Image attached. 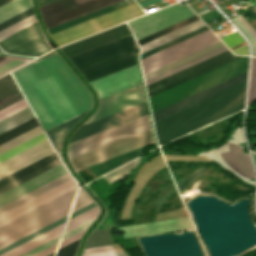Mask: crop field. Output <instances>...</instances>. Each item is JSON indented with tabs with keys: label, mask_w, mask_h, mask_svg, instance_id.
I'll return each instance as SVG.
<instances>
[{
	"label": "crop field",
	"mask_w": 256,
	"mask_h": 256,
	"mask_svg": "<svg viewBox=\"0 0 256 256\" xmlns=\"http://www.w3.org/2000/svg\"><path fill=\"white\" fill-rule=\"evenodd\" d=\"M77 189L0 226V249L67 216Z\"/></svg>",
	"instance_id": "f4fd0767"
},
{
	"label": "crop field",
	"mask_w": 256,
	"mask_h": 256,
	"mask_svg": "<svg viewBox=\"0 0 256 256\" xmlns=\"http://www.w3.org/2000/svg\"><path fill=\"white\" fill-rule=\"evenodd\" d=\"M238 57L240 56H234L230 53L229 50H227L221 54H218L212 58H209L203 62H200L183 71H180L174 75H171L165 79H162L156 83L147 86L146 89L148 97L150 98L158 93L170 89L178 84H181L189 79L201 75Z\"/></svg>",
	"instance_id": "3316defc"
},
{
	"label": "crop field",
	"mask_w": 256,
	"mask_h": 256,
	"mask_svg": "<svg viewBox=\"0 0 256 256\" xmlns=\"http://www.w3.org/2000/svg\"><path fill=\"white\" fill-rule=\"evenodd\" d=\"M140 83L136 65L90 82L99 99Z\"/></svg>",
	"instance_id": "cbeb9de0"
},
{
	"label": "crop field",
	"mask_w": 256,
	"mask_h": 256,
	"mask_svg": "<svg viewBox=\"0 0 256 256\" xmlns=\"http://www.w3.org/2000/svg\"><path fill=\"white\" fill-rule=\"evenodd\" d=\"M229 151L222 152L221 158L241 176L255 179L254 171L248 155H244L242 147L228 142Z\"/></svg>",
	"instance_id": "dafd665d"
},
{
	"label": "crop field",
	"mask_w": 256,
	"mask_h": 256,
	"mask_svg": "<svg viewBox=\"0 0 256 256\" xmlns=\"http://www.w3.org/2000/svg\"><path fill=\"white\" fill-rule=\"evenodd\" d=\"M247 71L152 113L154 121L246 80Z\"/></svg>",
	"instance_id": "5142ce71"
},
{
	"label": "crop field",
	"mask_w": 256,
	"mask_h": 256,
	"mask_svg": "<svg viewBox=\"0 0 256 256\" xmlns=\"http://www.w3.org/2000/svg\"><path fill=\"white\" fill-rule=\"evenodd\" d=\"M126 35H130V32L126 24H124L111 30L86 38L84 40L67 45L60 49L67 56V58H69L71 56L77 55L79 53L90 50L92 48H95L97 46L108 43Z\"/></svg>",
	"instance_id": "bc2a9ffb"
},
{
	"label": "crop field",
	"mask_w": 256,
	"mask_h": 256,
	"mask_svg": "<svg viewBox=\"0 0 256 256\" xmlns=\"http://www.w3.org/2000/svg\"><path fill=\"white\" fill-rule=\"evenodd\" d=\"M139 52L132 35L77 56L69 58L78 71L90 82L135 65L134 54Z\"/></svg>",
	"instance_id": "412701ff"
},
{
	"label": "crop field",
	"mask_w": 256,
	"mask_h": 256,
	"mask_svg": "<svg viewBox=\"0 0 256 256\" xmlns=\"http://www.w3.org/2000/svg\"><path fill=\"white\" fill-rule=\"evenodd\" d=\"M196 19H198V17L196 15H194V16L188 18V19H185V20H183L181 22H178V23H176V24H174L172 26H169V27H167V28H165L163 30H160V31H158V32H156L154 34H151V35H149L147 37H144V38L138 40V43H139V45H141V44H143V43H145L147 41H150V40H152V39H154V38H156L158 36H161V35H163V34H165L167 32H170V31H172V30H174V29H176L178 27H181V26H183V25H185L187 23H190V22H192V21H194Z\"/></svg>",
	"instance_id": "0bd39190"
},
{
	"label": "crop field",
	"mask_w": 256,
	"mask_h": 256,
	"mask_svg": "<svg viewBox=\"0 0 256 256\" xmlns=\"http://www.w3.org/2000/svg\"><path fill=\"white\" fill-rule=\"evenodd\" d=\"M60 164L55 152L0 180V193Z\"/></svg>",
	"instance_id": "733c2abd"
},
{
	"label": "crop field",
	"mask_w": 256,
	"mask_h": 256,
	"mask_svg": "<svg viewBox=\"0 0 256 256\" xmlns=\"http://www.w3.org/2000/svg\"><path fill=\"white\" fill-rule=\"evenodd\" d=\"M246 82L154 122L160 145L243 108Z\"/></svg>",
	"instance_id": "ac0d7876"
},
{
	"label": "crop field",
	"mask_w": 256,
	"mask_h": 256,
	"mask_svg": "<svg viewBox=\"0 0 256 256\" xmlns=\"http://www.w3.org/2000/svg\"><path fill=\"white\" fill-rule=\"evenodd\" d=\"M192 15H194V13L187 6L182 7L181 4L178 3L131 21L129 25L138 40Z\"/></svg>",
	"instance_id": "5a996713"
},
{
	"label": "crop field",
	"mask_w": 256,
	"mask_h": 256,
	"mask_svg": "<svg viewBox=\"0 0 256 256\" xmlns=\"http://www.w3.org/2000/svg\"><path fill=\"white\" fill-rule=\"evenodd\" d=\"M54 255V253L53 254H51V255H49V256H53Z\"/></svg>",
	"instance_id": "e1d0b9f6"
},
{
	"label": "crop field",
	"mask_w": 256,
	"mask_h": 256,
	"mask_svg": "<svg viewBox=\"0 0 256 256\" xmlns=\"http://www.w3.org/2000/svg\"><path fill=\"white\" fill-rule=\"evenodd\" d=\"M67 216H68V215H67ZM65 217H66V216H65ZM66 218H67V217H66ZM66 218H64V219H62V220H60V221H58V222H56V223H54V224H52V225H50V226H48V227H46V228H44V229H42V230H40V231H38V232H36V233H34V234L28 236V237H26V238H24V239H22V240H20V241H18V242H16V243H14V244L8 246V247H6V248L0 250V254H2V253H4V252L8 251L9 249H11V248H13V247H15V246H17V245H19V244H21V243H23V242L29 240V239H31V238H33V237L37 236V235H39V234H41V233H43V232H45V231H47V230H49V229H51V228H53V227H55V226H57V225L63 223V222H65Z\"/></svg>",
	"instance_id": "c21b1889"
},
{
	"label": "crop field",
	"mask_w": 256,
	"mask_h": 256,
	"mask_svg": "<svg viewBox=\"0 0 256 256\" xmlns=\"http://www.w3.org/2000/svg\"><path fill=\"white\" fill-rule=\"evenodd\" d=\"M143 147L135 149L128 153L122 154L120 156L114 157L107 161L101 162L94 166L88 167L87 169H89L93 174H95L97 177H99V176L105 174L106 172L124 164L125 162L141 155Z\"/></svg>",
	"instance_id": "a9b5d70f"
},
{
	"label": "crop field",
	"mask_w": 256,
	"mask_h": 256,
	"mask_svg": "<svg viewBox=\"0 0 256 256\" xmlns=\"http://www.w3.org/2000/svg\"><path fill=\"white\" fill-rule=\"evenodd\" d=\"M77 187L76 183L72 180L38 196L37 198L3 214L0 216V225L6 223L7 221Z\"/></svg>",
	"instance_id": "92a150f3"
},
{
	"label": "crop field",
	"mask_w": 256,
	"mask_h": 256,
	"mask_svg": "<svg viewBox=\"0 0 256 256\" xmlns=\"http://www.w3.org/2000/svg\"><path fill=\"white\" fill-rule=\"evenodd\" d=\"M31 14H33L32 7L23 11V12H21V13H19V14H17V15H15V16H13V17H11V18H9V19H7V20H5V21H3V22H1L0 23V30L10 26L11 24H13V23L31 15Z\"/></svg>",
	"instance_id": "03da06ac"
},
{
	"label": "crop field",
	"mask_w": 256,
	"mask_h": 256,
	"mask_svg": "<svg viewBox=\"0 0 256 256\" xmlns=\"http://www.w3.org/2000/svg\"><path fill=\"white\" fill-rule=\"evenodd\" d=\"M93 201L91 200V198L86 194V192L83 189H79L76 201L74 203L72 212L92 203ZM71 212V213H72Z\"/></svg>",
	"instance_id": "c035e120"
},
{
	"label": "crop field",
	"mask_w": 256,
	"mask_h": 256,
	"mask_svg": "<svg viewBox=\"0 0 256 256\" xmlns=\"http://www.w3.org/2000/svg\"><path fill=\"white\" fill-rule=\"evenodd\" d=\"M5 57H6V56H0V60L3 59V58H5Z\"/></svg>",
	"instance_id": "0f1d7ab4"
},
{
	"label": "crop field",
	"mask_w": 256,
	"mask_h": 256,
	"mask_svg": "<svg viewBox=\"0 0 256 256\" xmlns=\"http://www.w3.org/2000/svg\"><path fill=\"white\" fill-rule=\"evenodd\" d=\"M26 106H28V105H27V103H26V101L24 99V100L14 104V105H12V106H10V107L0 111V119H2L4 117H6V116L16 112V111H18V110H20V109H22V108H24Z\"/></svg>",
	"instance_id": "5d738f31"
},
{
	"label": "crop field",
	"mask_w": 256,
	"mask_h": 256,
	"mask_svg": "<svg viewBox=\"0 0 256 256\" xmlns=\"http://www.w3.org/2000/svg\"><path fill=\"white\" fill-rule=\"evenodd\" d=\"M217 41H219V39L208 30L153 56L150 55L151 57L144 60L141 59L143 72L145 74Z\"/></svg>",
	"instance_id": "d8731c3e"
},
{
	"label": "crop field",
	"mask_w": 256,
	"mask_h": 256,
	"mask_svg": "<svg viewBox=\"0 0 256 256\" xmlns=\"http://www.w3.org/2000/svg\"><path fill=\"white\" fill-rule=\"evenodd\" d=\"M117 252L114 245L84 250L83 256Z\"/></svg>",
	"instance_id": "b54c1fbb"
},
{
	"label": "crop field",
	"mask_w": 256,
	"mask_h": 256,
	"mask_svg": "<svg viewBox=\"0 0 256 256\" xmlns=\"http://www.w3.org/2000/svg\"><path fill=\"white\" fill-rule=\"evenodd\" d=\"M206 30H208V28L206 26H204V27H202L200 29H197V30H195L193 32H190V33H188L186 35H183V36H181L179 38H176V39H174L172 41H169V42H167V43H165V44H163V45H161V46H159L157 48H154V49H152V50L142 54L140 59H144V58H146V57H148L150 55H153V54H155V53H157L159 51H162V50H164V49H166L168 47H171V46H173V45H175V44H177L179 42H182V41H184V40H186L188 38H191V37H193V36H195V35H197L199 33L204 32Z\"/></svg>",
	"instance_id": "1d83c4d3"
},
{
	"label": "crop field",
	"mask_w": 256,
	"mask_h": 256,
	"mask_svg": "<svg viewBox=\"0 0 256 256\" xmlns=\"http://www.w3.org/2000/svg\"><path fill=\"white\" fill-rule=\"evenodd\" d=\"M109 244H112V242L110 240L108 230L103 229V230L94 231L89 236L85 248L109 245Z\"/></svg>",
	"instance_id": "120bbe31"
},
{
	"label": "crop field",
	"mask_w": 256,
	"mask_h": 256,
	"mask_svg": "<svg viewBox=\"0 0 256 256\" xmlns=\"http://www.w3.org/2000/svg\"><path fill=\"white\" fill-rule=\"evenodd\" d=\"M59 238H60V236L51 240V241H49V242H47V243H45V244H43V245H41V246H39V247H37V248H35V249H33V250H31V251H29V252H27V253H25V254H23V255H21V256H32V255L50 247V246L58 243Z\"/></svg>",
	"instance_id": "73cf0c24"
},
{
	"label": "crop field",
	"mask_w": 256,
	"mask_h": 256,
	"mask_svg": "<svg viewBox=\"0 0 256 256\" xmlns=\"http://www.w3.org/2000/svg\"><path fill=\"white\" fill-rule=\"evenodd\" d=\"M202 26H204V24L199 19V20L194 21V22H192L190 24H187V25H185V26H183L181 28H178V29H176V30H174V31H172L170 33H167V34H165V35H163V36H161V37H159L157 39H154V40H152L150 42H147V43L141 45L140 47L142 49V53H144V52H146V51H148V50H150V49H152L154 47H157V46H159V45H161V44H163V43H165V42H167L169 40H172V39H174L176 37H179V36H181L183 34H186V33L190 32V31H193V30H195L197 28H200Z\"/></svg>",
	"instance_id": "730fd06b"
},
{
	"label": "crop field",
	"mask_w": 256,
	"mask_h": 256,
	"mask_svg": "<svg viewBox=\"0 0 256 256\" xmlns=\"http://www.w3.org/2000/svg\"><path fill=\"white\" fill-rule=\"evenodd\" d=\"M8 1H10V0H0V5L6 3V2H8Z\"/></svg>",
	"instance_id": "7b73153f"
},
{
	"label": "crop field",
	"mask_w": 256,
	"mask_h": 256,
	"mask_svg": "<svg viewBox=\"0 0 256 256\" xmlns=\"http://www.w3.org/2000/svg\"><path fill=\"white\" fill-rule=\"evenodd\" d=\"M146 105L145 102L139 105L133 106L131 108L122 110L120 112L114 113L112 115L106 116L104 118L95 120L93 122L82 125L72 136L70 142L81 139L83 137L92 135L94 133L103 131L105 129L111 128L113 126L122 124L124 122L133 120L135 118L146 115ZM69 142V143H70Z\"/></svg>",
	"instance_id": "d1516ede"
},
{
	"label": "crop field",
	"mask_w": 256,
	"mask_h": 256,
	"mask_svg": "<svg viewBox=\"0 0 256 256\" xmlns=\"http://www.w3.org/2000/svg\"><path fill=\"white\" fill-rule=\"evenodd\" d=\"M111 11H114V8L112 6H109L107 8H104V9H101L99 11H96V12H93L91 14H88L86 16H83V17H80L78 19H75V20H72L70 22H67L65 24H62V25H59L57 27H54V28H51L48 31L49 34L51 33H54L56 31H59V30H62V29H65L67 27H70V26H73V25H76L78 23H81V22H84V21H87L89 19H92V18H95V17H98L100 15H103V14H106V13H109Z\"/></svg>",
	"instance_id": "bd1437ed"
},
{
	"label": "crop field",
	"mask_w": 256,
	"mask_h": 256,
	"mask_svg": "<svg viewBox=\"0 0 256 256\" xmlns=\"http://www.w3.org/2000/svg\"><path fill=\"white\" fill-rule=\"evenodd\" d=\"M221 43H222V42H221ZM222 45H223V46H221L220 42L215 43V44H213V45H211V46H209V47H207V48H204V49H202V50H200V51H198V52H196V53H193V54H191V55H189V56H187V57H185V58H183V59H180V60H178V61H176V62H174V63H172V64H169V65H167V66H165V67H162V68H160V69H157V70H155V71H153V72H150V73L146 74L145 77H146V79H147V78H149V77H151V76H153V75H156V74H158V73H160V72H162V71H165V70H167V69H169V68H172V67H174V66H176V65H178V64H181V63H183V62H185V61H187V60H190V59H192V58H194V57H196V56H199V55H201V54H203V53H206V52H208V51H210V50H212V49H215V48L221 46V47H219V48H217V49H215V50H212V51H210V52H208V53H206V54H203V55H201V56H199V57H196V58H194V59H192V60H190V61H187V62H185V63H183V64H181V65H178V66H176V67H174V68H172V69H169V70H167V71H165V72H162V73H160V74H158V75H156V76H153V77H151V78L145 80L146 86L149 85V84H151V83H153V82H156V81H158V80H160V79H162V78H165V77H167V76H169V75H171V74H174V73H176V72H178V71H180V70H183V69H185V68H187V67H189V66H191V65H194V64H196V63H198V62H200V61H203V60H205V59H207V58H209V57H212V56H214V55H216V54H218V53H221V52L227 50V48L224 46L223 43H222ZM145 77H144V78H145Z\"/></svg>",
	"instance_id": "d9b57169"
},
{
	"label": "crop field",
	"mask_w": 256,
	"mask_h": 256,
	"mask_svg": "<svg viewBox=\"0 0 256 256\" xmlns=\"http://www.w3.org/2000/svg\"><path fill=\"white\" fill-rule=\"evenodd\" d=\"M233 52L236 53V54H239V55H248L247 45L242 47V48H239V49H237Z\"/></svg>",
	"instance_id": "1d79db26"
},
{
	"label": "crop field",
	"mask_w": 256,
	"mask_h": 256,
	"mask_svg": "<svg viewBox=\"0 0 256 256\" xmlns=\"http://www.w3.org/2000/svg\"><path fill=\"white\" fill-rule=\"evenodd\" d=\"M84 232H85V230L82 231V232H80V233H78V234H76V235H74V236H72V237H70V238H68V239H66V240H64V241H62V242L60 243L59 248H61V247L65 246V245H67V244H69V243H71V242H73V241L79 239L80 236H81ZM59 248H58V249H59Z\"/></svg>",
	"instance_id": "1f2cbd36"
},
{
	"label": "crop field",
	"mask_w": 256,
	"mask_h": 256,
	"mask_svg": "<svg viewBox=\"0 0 256 256\" xmlns=\"http://www.w3.org/2000/svg\"><path fill=\"white\" fill-rule=\"evenodd\" d=\"M254 99H256V58H252L248 104Z\"/></svg>",
	"instance_id": "b80d0937"
},
{
	"label": "crop field",
	"mask_w": 256,
	"mask_h": 256,
	"mask_svg": "<svg viewBox=\"0 0 256 256\" xmlns=\"http://www.w3.org/2000/svg\"><path fill=\"white\" fill-rule=\"evenodd\" d=\"M70 179H72V178L67 173V174H65V175H63V176H61V177H59V178H57V179H55L51 182H49V183H47V184H45V185H43V186H41V187H39L35 190L23 195V196L15 199L14 201L0 207V215L9 211V210H11V209H13V208H15V207H17V206H19V205H21V204H23V203H25V202H27V201H29V200H31V199H33V198H35V197H37L38 195H40V194L58 186V185L66 182Z\"/></svg>",
	"instance_id": "00972430"
},
{
	"label": "crop field",
	"mask_w": 256,
	"mask_h": 256,
	"mask_svg": "<svg viewBox=\"0 0 256 256\" xmlns=\"http://www.w3.org/2000/svg\"><path fill=\"white\" fill-rule=\"evenodd\" d=\"M80 240V239H79ZM79 240L59 249L57 251L56 256H74L77 246L79 244Z\"/></svg>",
	"instance_id": "d23c7cc5"
},
{
	"label": "crop field",
	"mask_w": 256,
	"mask_h": 256,
	"mask_svg": "<svg viewBox=\"0 0 256 256\" xmlns=\"http://www.w3.org/2000/svg\"><path fill=\"white\" fill-rule=\"evenodd\" d=\"M54 152L48 139L0 163V179Z\"/></svg>",
	"instance_id": "4a817a6b"
},
{
	"label": "crop field",
	"mask_w": 256,
	"mask_h": 256,
	"mask_svg": "<svg viewBox=\"0 0 256 256\" xmlns=\"http://www.w3.org/2000/svg\"><path fill=\"white\" fill-rule=\"evenodd\" d=\"M41 133H43V132H42L40 126H39V127L35 128V129H33V130L15 138L13 140L1 145L0 146V154L9 150V149H11V148H13V147H15V146H17V145H19V144H21V143H23V142H25V141H27V140H29V139H31V138H33V137H35V136H37V135H39V134H41Z\"/></svg>",
	"instance_id": "5866460e"
},
{
	"label": "crop field",
	"mask_w": 256,
	"mask_h": 256,
	"mask_svg": "<svg viewBox=\"0 0 256 256\" xmlns=\"http://www.w3.org/2000/svg\"><path fill=\"white\" fill-rule=\"evenodd\" d=\"M31 7L29 0H13L0 7V22Z\"/></svg>",
	"instance_id": "d3111659"
},
{
	"label": "crop field",
	"mask_w": 256,
	"mask_h": 256,
	"mask_svg": "<svg viewBox=\"0 0 256 256\" xmlns=\"http://www.w3.org/2000/svg\"><path fill=\"white\" fill-rule=\"evenodd\" d=\"M36 23L34 15H31L15 24L12 26L0 31V41L15 34L16 32Z\"/></svg>",
	"instance_id": "d32e631a"
},
{
	"label": "crop field",
	"mask_w": 256,
	"mask_h": 256,
	"mask_svg": "<svg viewBox=\"0 0 256 256\" xmlns=\"http://www.w3.org/2000/svg\"><path fill=\"white\" fill-rule=\"evenodd\" d=\"M67 173L63 168L62 164L1 194L0 195V206L14 200L15 198Z\"/></svg>",
	"instance_id": "214f88e0"
},
{
	"label": "crop field",
	"mask_w": 256,
	"mask_h": 256,
	"mask_svg": "<svg viewBox=\"0 0 256 256\" xmlns=\"http://www.w3.org/2000/svg\"><path fill=\"white\" fill-rule=\"evenodd\" d=\"M144 101L142 86L137 85L99 100L97 111L85 122H90ZM83 123V124H85Z\"/></svg>",
	"instance_id": "22f410ed"
},
{
	"label": "crop field",
	"mask_w": 256,
	"mask_h": 256,
	"mask_svg": "<svg viewBox=\"0 0 256 256\" xmlns=\"http://www.w3.org/2000/svg\"><path fill=\"white\" fill-rule=\"evenodd\" d=\"M94 220H95V219H93V220H91V221H89V222H87V223H85V224H83V225H81V226H79V227H77V228H75V229H73V230H71V231L65 233V234L63 235L62 240H64V239H66V238H68V237H70V236H72V235H74V234H76V233H78V232H80V231H82V230L88 228V227L90 226V224H91ZM62 240H61V241H62Z\"/></svg>",
	"instance_id": "89e229c0"
},
{
	"label": "crop field",
	"mask_w": 256,
	"mask_h": 256,
	"mask_svg": "<svg viewBox=\"0 0 256 256\" xmlns=\"http://www.w3.org/2000/svg\"><path fill=\"white\" fill-rule=\"evenodd\" d=\"M122 0H58L40 7L48 28Z\"/></svg>",
	"instance_id": "e52e79f7"
},
{
	"label": "crop field",
	"mask_w": 256,
	"mask_h": 256,
	"mask_svg": "<svg viewBox=\"0 0 256 256\" xmlns=\"http://www.w3.org/2000/svg\"><path fill=\"white\" fill-rule=\"evenodd\" d=\"M99 256H126L123 251L117 252V253H112V254H105V255H99Z\"/></svg>",
	"instance_id": "447ae74e"
},
{
	"label": "crop field",
	"mask_w": 256,
	"mask_h": 256,
	"mask_svg": "<svg viewBox=\"0 0 256 256\" xmlns=\"http://www.w3.org/2000/svg\"><path fill=\"white\" fill-rule=\"evenodd\" d=\"M207 167L201 166L198 170H196L190 177H188L179 187L180 193L190 184L192 183L199 175H201Z\"/></svg>",
	"instance_id": "425ffa30"
},
{
	"label": "crop field",
	"mask_w": 256,
	"mask_h": 256,
	"mask_svg": "<svg viewBox=\"0 0 256 256\" xmlns=\"http://www.w3.org/2000/svg\"><path fill=\"white\" fill-rule=\"evenodd\" d=\"M12 59L23 60V61H26V62L29 61L28 59L8 57V58L0 61V65L4 64V63H6V62H8V61H10ZM18 60H13V61H11V62L1 66L0 67V73H2V72H4V71H6V70H8V69H10V68H12V67H14V66H16V65H18V64L23 62V61H18Z\"/></svg>",
	"instance_id": "25e5ab78"
},
{
	"label": "crop field",
	"mask_w": 256,
	"mask_h": 256,
	"mask_svg": "<svg viewBox=\"0 0 256 256\" xmlns=\"http://www.w3.org/2000/svg\"><path fill=\"white\" fill-rule=\"evenodd\" d=\"M63 226H64V223L39 235L38 237L0 255V256H18L58 235H60L62 233V230H63Z\"/></svg>",
	"instance_id": "4177f3b9"
},
{
	"label": "crop field",
	"mask_w": 256,
	"mask_h": 256,
	"mask_svg": "<svg viewBox=\"0 0 256 256\" xmlns=\"http://www.w3.org/2000/svg\"><path fill=\"white\" fill-rule=\"evenodd\" d=\"M56 247H57V244L48 248V249H46V250H44V251H42V252H40V253H38V254H36V255H34V256H47V255L55 252Z\"/></svg>",
	"instance_id": "0fb4a251"
},
{
	"label": "crop field",
	"mask_w": 256,
	"mask_h": 256,
	"mask_svg": "<svg viewBox=\"0 0 256 256\" xmlns=\"http://www.w3.org/2000/svg\"><path fill=\"white\" fill-rule=\"evenodd\" d=\"M12 73L45 132L91 108L89 92L56 52Z\"/></svg>",
	"instance_id": "8a807250"
},
{
	"label": "crop field",
	"mask_w": 256,
	"mask_h": 256,
	"mask_svg": "<svg viewBox=\"0 0 256 256\" xmlns=\"http://www.w3.org/2000/svg\"><path fill=\"white\" fill-rule=\"evenodd\" d=\"M39 126L35 117L0 135V145Z\"/></svg>",
	"instance_id": "750c4746"
},
{
	"label": "crop field",
	"mask_w": 256,
	"mask_h": 256,
	"mask_svg": "<svg viewBox=\"0 0 256 256\" xmlns=\"http://www.w3.org/2000/svg\"><path fill=\"white\" fill-rule=\"evenodd\" d=\"M158 1H161V0H148V1H145V2H143V3H140V5H141L142 7H144V6H147V5H149V4L156 3V2H158Z\"/></svg>",
	"instance_id": "db79e9e6"
},
{
	"label": "crop field",
	"mask_w": 256,
	"mask_h": 256,
	"mask_svg": "<svg viewBox=\"0 0 256 256\" xmlns=\"http://www.w3.org/2000/svg\"><path fill=\"white\" fill-rule=\"evenodd\" d=\"M17 91H19L18 90V88H17V86H16V84H15V82H14V80H13V78H12V76H11V74H9V75H7V76H5V77H3V78H1L0 79V100H2V99H4V98H6V97H8L9 95H11V94H13V93H15V92H17ZM20 98H22V95H21V93H20V91L19 92H17V93H15V94H13V95H11L10 97H8V98H6V99H4V100H2V101H0L1 102V104H2V106L4 107V106H6V105H8V104H10V103H12V102H14V101H16V100H18V99H20ZM23 99V98H22ZM21 100V99H20ZM19 101V100H18ZM17 102V101H16ZM15 103V102H14ZM13 104V103H12ZM11 105V104H10ZM9 106V105H8ZM7 107V106H6ZM5 108V107H4ZM1 109H3L2 107H1V105H0V110Z\"/></svg>",
	"instance_id": "eef30255"
},
{
	"label": "crop field",
	"mask_w": 256,
	"mask_h": 256,
	"mask_svg": "<svg viewBox=\"0 0 256 256\" xmlns=\"http://www.w3.org/2000/svg\"><path fill=\"white\" fill-rule=\"evenodd\" d=\"M0 52H2V51L0 50Z\"/></svg>",
	"instance_id": "ae633e8c"
},
{
	"label": "crop field",
	"mask_w": 256,
	"mask_h": 256,
	"mask_svg": "<svg viewBox=\"0 0 256 256\" xmlns=\"http://www.w3.org/2000/svg\"><path fill=\"white\" fill-rule=\"evenodd\" d=\"M149 128L150 125L146 115L133 121L70 143L68 145V156L71 159ZM152 142V135L149 129L100 149L73 158L70 161L75 171H78L92 164L98 163L100 161Z\"/></svg>",
	"instance_id": "34b2d1b8"
},
{
	"label": "crop field",
	"mask_w": 256,
	"mask_h": 256,
	"mask_svg": "<svg viewBox=\"0 0 256 256\" xmlns=\"http://www.w3.org/2000/svg\"><path fill=\"white\" fill-rule=\"evenodd\" d=\"M99 212H100V210H99V207L97 206V207L69 220L65 232L96 217Z\"/></svg>",
	"instance_id": "e1f06a70"
},
{
	"label": "crop field",
	"mask_w": 256,
	"mask_h": 256,
	"mask_svg": "<svg viewBox=\"0 0 256 256\" xmlns=\"http://www.w3.org/2000/svg\"><path fill=\"white\" fill-rule=\"evenodd\" d=\"M6 52L37 57L48 51L49 47L43 40L37 24L0 42Z\"/></svg>",
	"instance_id": "28ad6ade"
},
{
	"label": "crop field",
	"mask_w": 256,
	"mask_h": 256,
	"mask_svg": "<svg viewBox=\"0 0 256 256\" xmlns=\"http://www.w3.org/2000/svg\"><path fill=\"white\" fill-rule=\"evenodd\" d=\"M239 19L241 20V22L246 26V28L251 32V34L255 37L256 39V33L255 31L250 27V25L242 18L239 17ZM256 56V55H255Z\"/></svg>",
	"instance_id": "9d1cf04e"
},
{
	"label": "crop field",
	"mask_w": 256,
	"mask_h": 256,
	"mask_svg": "<svg viewBox=\"0 0 256 256\" xmlns=\"http://www.w3.org/2000/svg\"><path fill=\"white\" fill-rule=\"evenodd\" d=\"M253 157H254V161H255V165H256V154L253 153Z\"/></svg>",
	"instance_id": "78b8030e"
},
{
	"label": "crop field",
	"mask_w": 256,
	"mask_h": 256,
	"mask_svg": "<svg viewBox=\"0 0 256 256\" xmlns=\"http://www.w3.org/2000/svg\"><path fill=\"white\" fill-rule=\"evenodd\" d=\"M142 14H144L143 10L133 3L117 11L51 34V36L61 45Z\"/></svg>",
	"instance_id": "dd49c442"
},
{
	"label": "crop field",
	"mask_w": 256,
	"mask_h": 256,
	"mask_svg": "<svg viewBox=\"0 0 256 256\" xmlns=\"http://www.w3.org/2000/svg\"><path fill=\"white\" fill-rule=\"evenodd\" d=\"M95 206H97V205H95L94 203H92V204H90V205H88V206H86V207H84V208H82V209H80V210H78V211L72 213V214L70 215V219L73 218V217H75V216H77V215H79V214H81V213H83V212H85V211H87V210H89V209H91V208H93V207H95Z\"/></svg>",
	"instance_id": "dbb93151"
},
{
	"label": "crop field",
	"mask_w": 256,
	"mask_h": 256,
	"mask_svg": "<svg viewBox=\"0 0 256 256\" xmlns=\"http://www.w3.org/2000/svg\"><path fill=\"white\" fill-rule=\"evenodd\" d=\"M85 114V113H84ZM80 115L48 132L47 135L54 145L56 151L61 149V143L64 135L68 132V130L84 115ZM66 136V135H65Z\"/></svg>",
	"instance_id": "ae1a2a85"
},
{
	"label": "crop field",
	"mask_w": 256,
	"mask_h": 256,
	"mask_svg": "<svg viewBox=\"0 0 256 256\" xmlns=\"http://www.w3.org/2000/svg\"><path fill=\"white\" fill-rule=\"evenodd\" d=\"M45 139H47V138H46V136L43 133V134H41V135L31 139V140H29V141L19 145V146H17L15 148H13V149H11V150L1 154L0 155V162H2L4 160L12 157L13 155H15V154H17V153H19V152H21V151H23V150L33 146V145H35V144L45 140Z\"/></svg>",
	"instance_id": "028f5c9d"
},
{
	"label": "crop field",
	"mask_w": 256,
	"mask_h": 256,
	"mask_svg": "<svg viewBox=\"0 0 256 256\" xmlns=\"http://www.w3.org/2000/svg\"><path fill=\"white\" fill-rule=\"evenodd\" d=\"M53 1H56V0H37L39 7L42 5L48 4L50 2H53Z\"/></svg>",
	"instance_id": "0765c3eb"
}]
</instances>
